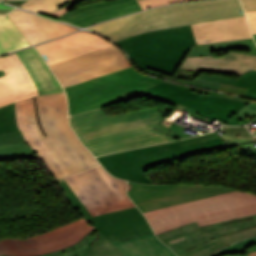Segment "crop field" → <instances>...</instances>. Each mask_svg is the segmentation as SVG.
I'll list each match as a JSON object with an SVG mask.
<instances>
[{
  "mask_svg": "<svg viewBox=\"0 0 256 256\" xmlns=\"http://www.w3.org/2000/svg\"><path fill=\"white\" fill-rule=\"evenodd\" d=\"M162 119L156 107L109 117L99 108L70 116V124L82 143L95 156H101L173 141L152 131Z\"/></svg>",
  "mask_w": 256,
  "mask_h": 256,
  "instance_id": "crop-field-1",
  "label": "crop field"
},
{
  "mask_svg": "<svg viewBox=\"0 0 256 256\" xmlns=\"http://www.w3.org/2000/svg\"><path fill=\"white\" fill-rule=\"evenodd\" d=\"M244 15L239 0H212L156 8L88 28L116 42L137 33Z\"/></svg>",
  "mask_w": 256,
  "mask_h": 256,
  "instance_id": "crop-field-2",
  "label": "crop field"
},
{
  "mask_svg": "<svg viewBox=\"0 0 256 256\" xmlns=\"http://www.w3.org/2000/svg\"><path fill=\"white\" fill-rule=\"evenodd\" d=\"M40 119L48 137H44L36 120L32 97L24 100L26 124L35 123L45 144L68 175L99 165L70 128L64 92L37 96Z\"/></svg>",
  "mask_w": 256,
  "mask_h": 256,
  "instance_id": "crop-field-3",
  "label": "crop field"
},
{
  "mask_svg": "<svg viewBox=\"0 0 256 256\" xmlns=\"http://www.w3.org/2000/svg\"><path fill=\"white\" fill-rule=\"evenodd\" d=\"M145 97L177 106L155 128V130L172 138L180 139L193 136L184 132L183 126L170 122L174 117L180 118L181 112L187 110L188 114L202 120L204 116L216 118L226 122L234 114L251 102L241 98L217 94L204 90L194 89L181 85L162 82L144 92ZM180 97V98H178Z\"/></svg>",
  "mask_w": 256,
  "mask_h": 256,
  "instance_id": "crop-field-4",
  "label": "crop field"
},
{
  "mask_svg": "<svg viewBox=\"0 0 256 256\" xmlns=\"http://www.w3.org/2000/svg\"><path fill=\"white\" fill-rule=\"evenodd\" d=\"M225 147L221 138L213 132L195 138L122 151L97 159L117 178L154 184L143 172L149 167Z\"/></svg>",
  "mask_w": 256,
  "mask_h": 256,
  "instance_id": "crop-field-5",
  "label": "crop field"
},
{
  "mask_svg": "<svg viewBox=\"0 0 256 256\" xmlns=\"http://www.w3.org/2000/svg\"><path fill=\"white\" fill-rule=\"evenodd\" d=\"M144 214L158 235L192 221L204 226L256 214V195L234 191Z\"/></svg>",
  "mask_w": 256,
  "mask_h": 256,
  "instance_id": "crop-field-6",
  "label": "crop field"
},
{
  "mask_svg": "<svg viewBox=\"0 0 256 256\" xmlns=\"http://www.w3.org/2000/svg\"><path fill=\"white\" fill-rule=\"evenodd\" d=\"M116 43L140 69L168 79L196 44L190 25L145 32Z\"/></svg>",
  "mask_w": 256,
  "mask_h": 256,
  "instance_id": "crop-field-7",
  "label": "crop field"
},
{
  "mask_svg": "<svg viewBox=\"0 0 256 256\" xmlns=\"http://www.w3.org/2000/svg\"><path fill=\"white\" fill-rule=\"evenodd\" d=\"M160 82L162 80L138 73L129 64L62 86L68 96L69 112L72 115L108 105Z\"/></svg>",
  "mask_w": 256,
  "mask_h": 256,
  "instance_id": "crop-field-8",
  "label": "crop field"
},
{
  "mask_svg": "<svg viewBox=\"0 0 256 256\" xmlns=\"http://www.w3.org/2000/svg\"><path fill=\"white\" fill-rule=\"evenodd\" d=\"M92 216L133 207L126 181L111 177L101 166L65 178Z\"/></svg>",
  "mask_w": 256,
  "mask_h": 256,
  "instance_id": "crop-field-9",
  "label": "crop field"
},
{
  "mask_svg": "<svg viewBox=\"0 0 256 256\" xmlns=\"http://www.w3.org/2000/svg\"><path fill=\"white\" fill-rule=\"evenodd\" d=\"M230 191L234 190L212 186H157L128 182L127 194L136 206L145 212Z\"/></svg>",
  "mask_w": 256,
  "mask_h": 256,
  "instance_id": "crop-field-10",
  "label": "crop field"
},
{
  "mask_svg": "<svg viewBox=\"0 0 256 256\" xmlns=\"http://www.w3.org/2000/svg\"><path fill=\"white\" fill-rule=\"evenodd\" d=\"M256 225V215L199 227L196 222L175 228L157 237L176 254L212 240Z\"/></svg>",
  "mask_w": 256,
  "mask_h": 256,
  "instance_id": "crop-field-11",
  "label": "crop field"
},
{
  "mask_svg": "<svg viewBox=\"0 0 256 256\" xmlns=\"http://www.w3.org/2000/svg\"><path fill=\"white\" fill-rule=\"evenodd\" d=\"M126 64L129 62L112 45L50 65V68L63 84Z\"/></svg>",
  "mask_w": 256,
  "mask_h": 256,
  "instance_id": "crop-field-12",
  "label": "crop field"
},
{
  "mask_svg": "<svg viewBox=\"0 0 256 256\" xmlns=\"http://www.w3.org/2000/svg\"><path fill=\"white\" fill-rule=\"evenodd\" d=\"M86 220L111 242L151 229L136 207L86 218Z\"/></svg>",
  "mask_w": 256,
  "mask_h": 256,
  "instance_id": "crop-field-13",
  "label": "crop field"
},
{
  "mask_svg": "<svg viewBox=\"0 0 256 256\" xmlns=\"http://www.w3.org/2000/svg\"><path fill=\"white\" fill-rule=\"evenodd\" d=\"M1 69L7 75L0 78V106L38 95L30 75L15 53L0 57Z\"/></svg>",
  "mask_w": 256,
  "mask_h": 256,
  "instance_id": "crop-field-14",
  "label": "crop field"
},
{
  "mask_svg": "<svg viewBox=\"0 0 256 256\" xmlns=\"http://www.w3.org/2000/svg\"><path fill=\"white\" fill-rule=\"evenodd\" d=\"M112 45L93 34L77 32L67 37L35 46L48 65Z\"/></svg>",
  "mask_w": 256,
  "mask_h": 256,
  "instance_id": "crop-field-15",
  "label": "crop field"
},
{
  "mask_svg": "<svg viewBox=\"0 0 256 256\" xmlns=\"http://www.w3.org/2000/svg\"><path fill=\"white\" fill-rule=\"evenodd\" d=\"M138 10L143 9L136 0H114L77 8L58 19L84 27Z\"/></svg>",
  "mask_w": 256,
  "mask_h": 256,
  "instance_id": "crop-field-16",
  "label": "crop field"
},
{
  "mask_svg": "<svg viewBox=\"0 0 256 256\" xmlns=\"http://www.w3.org/2000/svg\"><path fill=\"white\" fill-rule=\"evenodd\" d=\"M7 15L13 20L30 45L76 30L68 25L18 9Z\"/></svg>",
  "mask_w": 256,
  "mask_h": 256,
  "instance_id": "crop-field-17",
  "label": "crop field"
},
{
  "mask_svg": "<svg viewBox=\"0 0 256 256\" xmlns=\"http://www.w3.org/2000/svg\"><path fill=\"white\" fill-rule=\"evenodd\" d=\"M93 227L83 217L62 225L58 228L36 235L42 254L67 248L81 241Z\"/></svg>",
  "mask_w": 256,
  "mask_h": 256,
  "instance_id": "crop-field-18",
  "label": "crop field"
},
{
  "mask_svg": "<svg viewBox=\"0 0 256 256\" xmlns=\"http://www.w3.org/2000/svg\"><path fill=\"white\" fill-rule=\"evenodd\" d=\"M13 156H37L17 128L14 102L0 107V159Z\"/></svg>",
  "mask_w": 256,
  "mask_h": 256,
  "instance_id": "crop-field-19",
  "label": "crop field"
},
{
  "mask_svg": "<svg viewBox=\"0 0 256 256\" xmlns=\"http://www.w3.org/2000/svg\"><path fill=\"white\" fill-rule=\"evenodd\" d=\"M191 26L197 44L252 37L244 16Z\"/></svg>",
  "mask_w": 256,
  "mask_h": 256,
  "instance_id": "crop-field-20",
  "label": "crop field"
},
{
  "mask_svg": "<svg viewBox=\"0 0 256 256\" xmlns=\"http://www.w3.org/2000/svg\"><path fill=\"white\" fill-rule=\"evenodd\" d=\"M182 67L207 72L240 75L251 69L256 70V57L228 53L223 57L186 58Z\"/></svg>",
  "mask_w": 256,
  "mask_h": 256,
  "instance_id": "crop-field-21",
  "label": "crop field"
},
{
  "mask_svg": "<svg viewBox=\"0 0 256 256\" xmlns=\"http://www.w3.org/2000/svg\"><path fill=\"white\" fill-rule=\"evenodd\" d=\"M15 53L31 75L40 95L64 91L41 55L33 47Z\"/></svg>",
  "mask_w": 256,
  "mask_h": 256,
  "instance_id": "crop-field-22",
  "label": "crop field"
},
{
  "mask_svg": "<svg viewBox=\"0 0 256 256\" xmlns=\"http://www.w3.org/2000/svg\"><path fill=\"white\" fill-rule=\"evenodd\" d=\"M16 119L19 129L25 137L27 143L37 153V155L43 160L55 179H59L63 176H67L66 172L48 150L43 140L39 136L34 125L25 124L24 116V104L23 100L15 102Z\"/></svg>",
  "mask_w": 256,
  "mask_h": 256,
  "instance_id": "crop-field-23",
  "label": "crop field"
},
{
  "mask_svg": "<svg viewBox=\"0 0 256 256\" xmlns=\"http://www.w3.org/2000/svg\"><path fill=\"white\" fill-rule=\"evenodd\" d=\"M125 256H175L152 230L113 243Z\"/></svg>",
  "mask_w": 256,
  "mask_h": 256,
  "instance_id": "crop-field-24",
  "label": "crop field"
},
{
  "mask_svg": "<svg viewBox=\"0 0 256 256\" xmlns=\"http://www.w3.org/2000/svg\"><path fill=\"white\" fill-rule=\"evenodd\" d=\"M256 234V226L236 232L234 234L218 237L212 241L199 245L189 251L178 254V256H207L208 254L217 251L229 244L235 243L243 238L250 237Z\"/></svg>",
  "mask_w": 256,
  "mask_h": 256,
  "instance_id": "crop-field-25",
  "label": "crop field"
},
{
  "mask_svg": "<svg viewBox=\"0 0 256 256\" xmlns=\"http://www.w3.org/2000/svg\"><path fill=\"white\" fill-rule=\"evenodd\" d=\"M228 48H246V49L252 50L254 52L251 54H247L246 52H232V53L256 56V44L254 43L252 38H249V39H241V40L195 45V46H192L191 50L189 51V53L187 54L186 57L214 56L211 54V51L226 50ZM185 58H184V60H185ZM184 60H183V62H184ZM182 63H181V65H182ZM181 65H180V67H181Z\"/></svg>",
  "mask_w": 256,
  "mask_h": 256,
  "instance_id": "crop-field-26",
  "label": "crop field"
},
{
  "mask_svg": "<svg viewBox=\"0 0 256 256\" xmlns=\"http://www.w3.org/2000/svg\"><path fill=\"white\" fill-rule=\"evenodd\" d=\"M29 46L7 15H0V54Z\"/></svg>",
  "mask_w": 256,
  "mask_h": 256,
  "instance_id": "crop-field-27",
  "label": "crop field"
},
{
  "mask_svg": "<svg viewBox=\"0 0 256 256\" xmlns=\"http://www.w3.org/2000/svg\"><path fill=\"white\" fill-rule=\"evenodd\" d=\"M40 254L35 236L29 239L5 238L0 241V255L37 256Z\"/></svg>",
  "mask_w": 256,
  "mask_h": 256,
  "instance_id": "crop-field-28",
  "label": "crop field"
},
{
  "mask_svg": "<svg viewBox=\"0 0 256 256\" xmlns=\"http://www.w3.org/2000/svg\"><path fill=\"white\" fill-rule=\"evenodd\" d=\"M100 234L101 233L97 229H95L78 244L61 251L41 256H85L90 246L93 244V242L98 238Z\"/></svg>",
  "mask_w": 256,
  "mask_h": 256,
  "instance_id": "crop-field-29",
  "label": "crop field"
},
{
  "mask_svg": "<svg viewBox=\"0 0 256 256\" xmlns=\"http://www.w3.org/2000/svg\"><path fill=\"white\" fill-rule=\"evenodd\" d=\"M172 80L179 81V82H185V83H189V84L216 90L220 82L234 85L237 78L209 76V75L200 74L193 80L179 79V78H175V77H172Z\"/></svg>",
  "mask_w": 256,
  "mask_h": 256,
  "instance_id": "crop-field-30",
  "label": "crop field"
},
{
  "mask_svg": "<svg viewBox=\"0 0 256 256\" xmlns=\"http://www.w3.org/2000/svg\"><path fill=\"white\" fill-rule=\"evenodd\" d=\"M70 0H28L21 8L47 15Z\"/></svg>",
  "mask_w": 256,
  "mask_h": 256,
  "instance_id": "crop-field-31",
  "label": "crop field"
},
{
  "mask_svg": "<svg viewBox=\"0 0 256 256\" xmlns=\"http://www.w3.org/2000/svg\"><path fill=\"white\" fill-rule=\"evenodd\" d=\"M86 256H124L108 239L102 234L91 246Z\"/></svg>",
  "mask_w": 256,
  "mask_h": 256,
  "instance_id": "crop-field-32",
  "label": "crop field"
},
{
  "mask_svg": "<svg viewBox=\"0 0 256 256\" xmlns=\"http://www.w3.org/2000/svg\"><path fill=\"white\" fill-rule=\"evenodd\" d=\"M252 119L253 121L256 120V101H252L250 104L246 105L226 123L228 125H243L247 122H251L250 120Z\"/></svg>",
  "mask_w": 256,
  "mask_h": 256,
  "instance_id": "crop-field-33",
  "label": "crop field"
},
{
  "mask_svg": "<svg viewBox=\"0 0 256 256\" xmlns=\"http://www.w3.org/2000/svg\"><path fill=\"white\" fill-rule=\"evenodd\" d=\"M57 184L63 190L67 199L79 214H81L84 218L91 216L87 209L84 207V205L81 203V201L77 198V196L64 181V179L57 181Z\"/></svg>",
  "mask_w": 256,
  "mask_h": 256,
  "instance_id": "crop-field-34",
  "label": "crop field"
},
{
  "mask_svg": "<svg viewBox=\"0 0 256 256\" xmlns=\"http://www.w3.org/2000/svg\"><path fill=\"white\" fill-rule=\"evenodd\" d=\"M256 246V237L249 238L247 240L240 241L234 245L228 246L221 251L217 252L220 255L226 254H245L248 248Z\"/></svg>",
  "mask_w": 256,
  "mask_h": 256,
  "instance_id": "crop-field-35",
  "label": "crop field"
},
{
  "mask_svg": "<svg viewBox=\"0 0 256 256\" xmlns=\"http://www.w3.org/2000/svg\"><path fill=\"white\" fill-rule=\"evenodd\" d=\"M237 86L248 88L247 92L256 94V71H249L240 75Z\"/></svg>",
  "mask_w": 256,
  "mask_h": 256,
  "instance_id": "crop-field-36",
  "label": "crop field"
},
{
  "mask_svg": "<svg viewBox=\"0 0 256 256\" xmlns=\"http://www.w3.org/2000/svg\"><path fill=\"white\" fill-rule=\"evenodd\" d=\"M218 90L223 91V92L237 94V95L247 96V97H251V98L256 99V95L246 93L245 88H241V87H237V86H232V85H227V84L221 83Z\"/></svg>",
  "mask_w": 256,
  "mask_h": 256,
  "instance_id": "crop-field-37",
  "label": "crop field"
},
{
  "mask_svg": "<svg viewBox=\"0 0 256 256\" xmlns=\"http://www.w3.org/2000/svg\"><path fill=\"white\" fill-rule=\"evenodd\" d=\"M183 1H192V0H142V1H139V3L143 7V9H147L153 6H159L167 3H178Z\"/></svg>",
  "mask_w": 256,
  "mask_h": 256,
  "instance_id": "crop-field-38",
  "label": "crop field"
},
{
  "mask_svg": "<svg viewBox=\"0 0 256 256\" xmlns=\"http://www.w3.org/2000/svg\"><path fill=\"white\" fill-rule=\"evenodd\" d=\"M199 72L200 71L179 68L175 74V77L193 79L198 75Z\"/></svg>",
  "mask_w": 256,
  "mask_h": 256,
  "instance_id": "crop-field-39",
  "label": "crop field"
},
{
  "mask_svg": "<svg viewBox=\"0 0 256 256\" xmlns=\"http://www.w3.org/2000/svg\"><path fill=\"white\" fill-rule=\"evenodd\" d=\"M226 133L228 134H234V135H240V136H248V137H254L252 136L246 127H227L225 128Z\"/></svg>",
  "mask_w": 256,
  "mask_h": 256,
  "instance_id": "crop-field-40",
  "label": "crop field"
},
{
  "mask_svg": "<svg viewBox=\"0 0 256 256\" xmlns=\"http://www.w3.org/2000/svg\"><path fill=\"white\" fill-rule=\"evenodd\" d=\"M76 2H77L76 0H72L69 3H67L66 5H64L63 7L59 8L57 11H55L47 16L57 18L58 16L66 13L68 10H70L71 7L76 4Z\"/></svg>",
  "mask_w": 256,
  "mask_h": 256,
  "instance_id": "crop-field-41",
  "label": "crop field"
},
{
  "mask_svg": "<svg viewBox=\"0 0 256 256\" xmlns=\"http://www.w3.org/2000/svg\"><path fill=\"white\" fill-rule=\"evenodd\" d=\"M238 148L241 153L246 154V155L256 159V147H254L253 144L240 146Z\"/></svg>",
  "mask_w": 256,
  "mask_h": 256,
  "instance_id": "crop-field-42",
  "label": "crop field"
},
{
  "mask_svg": "<svg viewBox=\"0 0 256 256\" xmlns=\"http://www.w3.org/2000/svg\"><path fill=\"white\" fill-rule=\"evenodd\" d=\"M252 33H256V11L245 12Z\"/></svg>",
  "mask_w": 256,
  "mask_h": 256,
  "instance_id": "crop-field-43",
  "label": "crop field"
},
{
  "mask_svg": "<svg viewBox=\"0 0 256 256\" xmlns=\"http://www.w3.org/2000/svg\"><path fill=\"white\" fill-rule=\"evenodd\" d=\"M245 11L256 10V0H241Z\"/></svg>",
  "mask_w": 256,
  "mask_h": 256,
  "instance_id": "crop-field-44",
  "label": "crop field"
},
{
  "mask_svg": "<svg viewBox=\"0 0 256 256\" xmlns=\"http://www.w3.org/2000/svg\"><path fill=\"white\" fill-rule=\"evenodd\" d=\"M33 99H34V102H35L38 124H39V126H40L42 132L44 133V135L47 136L46 133H45V130H44L43 126H42V123H41V121H40V119H39V113H38V107H37L36 96L33 97Z\"/></svg>",
  "mask_w": 256,
  "mask_h": 256,
  "instance_id": "crop-field-45",
  "label": "crop field"
},
{
  "mask_svg": "<svg viewBox=\"0 0 256 256\" xmlns=\"http://www.w3.org/2000/svg\"><path fill=\"white\" fill-rule=\"evenodd\" d=\"M138 96H142V94H141V93L135 94V95H133V96H131V97H128V98H126V99H124V100L131 99V98L138 97ZM121 101H123V100H121Z\"/></svg>",
  "mask_w": 256,
  "mask_h": 256,
  "instance_id": "crop-field-46",
  "label": "crop field"
},
{
  "mask_svg": "<svg viewBox=\"0 0 256 256\" xmlns=\"http://www.w3.org/2000/svg\"><path fill=\"white\" fill-rule=\"evenodd\" d=\"M9 11H11V10H8V9H0V13H2V14H5V13H7V12H9Z\"/></svg>",
  "mask_w": 256,
  "mask_h": 256,
  "instance_id": "crop-field-47",
  "label": "crop field"
},
{
  "mask_svg": "<svg viewBox=\"0 0 256 256\" xmlns=\"http://www.w3.org/2000/svg\"><path fill=\"white\" fill-rule=\"evenodd\" d=\"M0 8H9V9H14V8L7 7V6L1 5V4H0Z\"/></svg>",
  "mask_w": 256,
  "mask_h": 256,
  "instance_id": "crop-field-48",
  "label": "crop field"
},
{
  "mask_svg": "<svg viewBox=\"0 0 256 256\" xmlns=\"http://www.w3.org/2000/svg\"><path fill=\"white\" fill-rule=\"evenodd\" d=\"M249 256H256V252H252L248 254Z\"/></svg>",
  "mask_w": 256,
  "mask_h": 256,
  "instance_id": "crop-field-49",
  "label": "crop field"
},
{
  "mask_svg": "<svg viewBox=\"0 0 256 256\" xmlns=\"http://www.w3.org/2000/svg\"><path fill=\"white\" fill-rule=\"evenodd\" d=\"M3 75H5V73H4L3 70H1V71H0V77L3 76Z\"/></svg>",
  "mask_w": 256,
  "mask_h": 256,
  "instance_id": "crop-field-50",
  "label": "crop field"
},
{
  "mask_svg": "<svg viewBox=\"0 0 256 256\" xmlns=\"http://www.w3.org/2000/svg\"><path fill=\"white\" fill-rule=\"evenodd\" d=\"M252 251H256V248L249 249V252H252Z\"/></svg>",
  "mask_w": 256,
  "mask_h": 256,
  "instance_id": "crop-field-51",
  "label": "crop field"
},
{
  "mask_svg": "<svg viewBox=\"0 0 256 256\" xmlns=\"http://www.w3.org/2000/svg\"><path fill=\"white\" fill-rule=\"evenodd\" d=\"M193 128H195V127H193ZM195 129H197V128H195ZM203 129H204V128H203ZM197 130H199V129H197ZM199 131H201V130H199ZM201 132H203V131H201ZM205 132H207V130H206ZM205 132H203V133H205Z\"/></svg>",
  "mask_w": 256,
  "mask_h": 256,
  "instance_id": "crop-field-52",
  "label": "crop field"
},
{
  "mask_svg": "<svg viewBox=\"0 0 256 256\" xmlns=\"http://www.w3.org/2000/svg\"><path fill=\"white\" fill-rule=\"evenodd\" d=\"M227 256H241V255H227Z\"/></svg>",
  "mask_w": 256,
  "mask_h": 256,
  "instance_id": "crop-field-53",
  "label": "crop field"
},
{
  "mask_svg": "<svg viewBox=\"0 0 256 256\" xmlns=\"http://www.w3.org/2000/svg\"><path fill=\"white\" fill-rule=\"evenodd\" d=\"M13 1H26V0H13Z\"/></svg>",
  "mask_w": 256,
  "mask_h": 256,
  "instance_id": "crop-field-54",
  "label": "crop field"
},
{
  "mask_svg": "<svg viewBox=\"0 0 256 256\" xmlns=\"http://www.w3.org/2000/svg\"><path fill=\"white\" fill-rule=\"evenodd\" d=\"M254 36V39H255V42H256V34L255 35H253Z\"/></svg>",
  "mask_w": 256,
  "mask_h": 256,
  "instance_id": "crop-field-55",
  "label": "crop field"
},
{
  "mask_svg": "<svg viewBox=\"0 0 256 256\" xmlns=\"http://www.w3.org/2000/svg\"><path fill=\"white\" fill-rule=\"evenodd\" d=\"M243 256H248V255L246 254V255H243Z\"/></svg>",
  "mask_w": 256,
  "mask_h": 256,
  "instance_id": "crop-field-56",
  "label": "crop field"
},
{
  "mask_svg": "<svg viewBox=\"0 0 256 256\" xmlns=\"http://www.w3.org/2000/svg\"><path fill=\"white\" fill-rule=\"evenodd\" d=\"M138 1V0H137Z\"/></svg>",
  "mask_w": 256,
  "mask_h": 256,
  "instance_id": "crop-field-57",
  "label": "crop field"
}]
</instances>
